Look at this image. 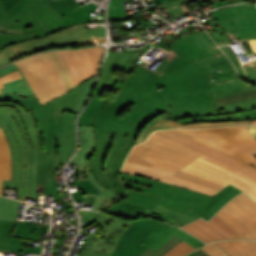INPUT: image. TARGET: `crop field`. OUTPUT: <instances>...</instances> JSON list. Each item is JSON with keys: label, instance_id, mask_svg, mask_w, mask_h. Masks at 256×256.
Masks as SVG:
<instances>
[{"label": "crop field", "instance_id": "crop-field-36", "mask_svg": "<svg viewBox=\"0 0 256 256\" xmlns=\"http://www.w3.org/2000/svg\"><path fill=\"white\" fill-rule=\"evenodd\" d=\"M123 0H111L109 4V20H125Z\"/></svg>", "mask_w": 256, "mask_h": 256}, {"label": "crop field", "instance_id": "crop-field-24", "mask_svg": "<svg viewBox=\"0 0 256 256\" xmlns=\"http://www.w3.org/2000/svg\"><path fill=\"white\" fill-rule=\"evenodd\" d=\"M242 191L236 189L235 187L228 185L225 189L220 191L215 195L198 213L205 220H209L213 214L231 198Z\"/></svg>", "mask_w": 256, "mask_h": 256}, {"label": "crop field", "instance_id": "crop-field-40", "mask_svg": "<svg viewBox=\"0 0 256 256\" xmlns=\"http://www.w3.org/2000/svg\"><path fill=\"white\" fill-rule=\"evenodd\" d=\"M211 25L214 27L216 31L209 32V35L216 42L218 46L222 44L231 43L226 33L224 32V30L221 28L220 24L217 21L211 22Z\"/></svg>", "mask_w": 256, "mask_h": 256}, {"label": "crop field", "instance_id": "crop-field-1", "mask_svg": "<svg viewBox=\"0 0 256 256\" xmlns=\"http://www.w3.org/2000/svg\"><path fill=\"white\" fill-rule=\"evenodd\" d=\"M171 46L173 54L148 71V63L139 59L150 48L147 43L126 83L113 77L108 89L117 91L114 100L99 98L104 88L97 87L79 125L137 139L142 128L163 112L172 121L215 116L213 98L256 89L238 77L223 53L198 61L221 52L205 31L183 36Z\"/></svg>", "mask_w": 256, "mask_h": 256}, {"label": "crop field", "instance_id": "crop-field-20", "mask_svg": "<svg viewBox=\"0 0 256 256\" xmlns=\"http://www.w3.org/2000/svg\"><path fill=\"white\" fill-rule=\"evenodd\" d=\"M121 172L131 173L150 179L160 180L162 182H166L183 188H189L212 196L218 193V191H215L213 189L205 188L195 183L170 176L171 174H173V172L145 167L128 162H125Z\"/></svg>", "mask_w": 256, "mask_h": 256}, {"label": "crop field", "instance_id": "crop-field-50", "mask_svg": "<svg viewBox=\"0 0 256 256\" xmlns=\"http://www.w3.org/2000/svg\"><path fill=\"white\" fill-rule=\"evenodd\" d=\"M16 70H17V68L13 64H11L5 68L0 69V76L8 74V73L16 71Z\"/></svg>", "mask_w": 256, "mask_h": 256}, {"label": "crop field", "instance_id": "crop-field-42", "mask_svg": "<svg viewBox=\"0 0 256 256\" xmlns=\"http://www.w3.org/2000/svg\"><path fill=\"white\" fill-rule=\"evenodd\" d=\"M239 8L246 15V17L251 21L254 28L256 29V5L255 4L240 5Z\"/></svg>", "mask_w": 256, "mask_h": 256}, {"label": "crop field", "instance_id": "crop-field-41", "mask_svg": "<svg viewBox=\"0 0 256 256\" xmlns=\"http://www.w3.org/2000/svg\"><path fill=\"white\" fill-rule=\"evenodd\" d=\"M193 247H191L186 242L182 241L178 246H176L174 249L166 253L164 256H185L186 254L194 251Z\"/></svg>", "mask_w": 256, "mask_h": 256}, {"label": "crop field", "instance_id": "crop-field-58", "mask_svg": "<svg viewBox=\"0 0 256 256\" xmlns=\"http://www.w3.org/2000/svg\"><path fill=\"white\" fill-rule=\"evenodd\" d=\"M195 254H193V253H191V254H189V255H187V256H194Z\"/></svg>", "mask_w": 256, "mask_h": 256}, {"label": "crop field", "instance_id": "crop-field-9", "mask_svg": "<svg viewBox=\"0 0 256 256\" xmlns=\"http://www.w3.org/2000/svg\"><path fill=\"white\" fill-rule=\"evenodd\" d=\"M105 34L106 30L103 27L86 30L84 24H80L40 39L9 45L2 51L10 56L12 60H15L45 48L101 43Z\"/></svg>", "mask_w": 256, "mask_h": 256}, {"label": "crop field", "instance_id": "crop-field-31", "mask_svg": "<svg viewBox=\"0 0 256 256\" xmlns=\"http://www.w3.org/2000/svg\"><path fill=\"white\" fill-rule=\"evenodd\" d=\"M166 121L167 120L164 118V114H161V115L155 117L151 122H149L143 128L141 134L139 135L138 139L136 140V143H140V142L145 141L147 139V137L153 131L162 130V129H171V127L164 124Z\"/></svg>", "mask_w": 256, "mask_h": 256}, {"label": "crop field", "instance_id": "crop-field-26", "mask_svg": "<svg viewBox=\"0 0 256 256\" xmlns=\"http://www.w3.org/2000/svg\"><path fill=\"white\" fill-rule=\"evenodd\" d=\"M256 119V110L245 111L241 113L219 116V117H194L187 118L183 120H177L175 122L182 125L197 123V122H229V121H242V120H255Z\"/></svg>", "mask_w": 256, "mask_h": 256}, {"label": "crop field", "instance_id": "crop-field-19", "mask_svg": "<svg viewBox=\"0 0 256 256\" xmlns=\"http://www.w3.org/2000/svg\"><path fill=\"white\" fill-rule=\"evenodd\" d=\"M229 38L242 39L256 37V31L238 6L212 12Z\"/></svg>", "mask_w": 256, "mask_h": 256}, {"label": "crop field", "instance_id": "crop-field-12", "mask_svg": "<svg viewBox=\"0 0 256 256\" xmlns=\"http://www.w3.org/2000/svg\"><path fill=\"white\" fill-rule=\"evenodd\" d=\"M182 170L224 186L230 183L256 200V183L253 180L202 154Z\"/></svg>", "mask_w": 256, "mask_h": 256}, {"label": "crop field", "instance_id": "crop-field-33", "mask_svg": "<svg viewBox=\"0 0 256 256\" xmlns=\"http://www.w3.org/2000/svg\"><path fill=\"white\" fill-rule=\"evenodd\" d=\"M18 202L0 196V219L15 220Z\"/></svg>", "mask_w": 256, "mask_h": 256}, {"label": "crop field", "instance_id": "crop-field-49", "mask_svg": "<svg viewBox=\"0 0 256 256\" xmlns=\"http://www.w3.org/2000/svg\"><path fill=\"white\" fill-rule=\"evenodd\" d=\"M18 1L19 0H2L5 14H7Z\"/></svg>", "mask_w": 256, "mask_h": 256}, {"label": "crop field", "instance_id": "crop-field-52", "mask_svg": "<svg viewBox=\"0 0 256 256\" xmlns=\"http://www.w3.org/2000/svg\"><path fill=\"white\" fill-rule=\"evenodd\" d=\"M117 201L114 200H110V199H105V201L103 202V204L100 206V208L98 209V211H101L103 209H105L107 206H109L112 203H115Z\"/></svg>", "mask_w": 256, "mask_h": 256}, {"label": "crop field", "instance_id": "crop-field-34", "mask_svg": "<svg viewBox=\"0 0 256 256\" xmlns=\"http://www.w3.org/2000/svg\"><path fill=\"white\" fill-rule=\"evenodd\" d=\"M172 176L179 177V178H182V179H185V180H189V181L195 182L197 184L203 185L205 187L216 189L218 191H220L221 189L224 188V186L218 185L216 183L207 181L205 179L199 178L197 176H194V175H191L189 173L182 172V171H179V172L173 174Z\"/></svg>", "mask_w": 256, "mask_h": 256}, {"label": "crop field", "instance_id": "crop-field-51", "mask_svg": "<svg viewBox=\"0 0 256 256\" xmlns=\"http://www.w3.org/2000/svg\"><path fill=\"white\" fill-rule=\"evenodd\" d=\"M12 61L8 56H6L2 51L0 52V66Z\"/></svg>", "mask_w": 256, "mask_h": 256}, {"label": "crop field", "instance_id": "crop-field-17", "mask_svg": "<svg viewBox=\"0 0 256 256\" xmlns=\"http://www.w3.org/2000/svg\"><path fill=\"white\" fill-rule=\"evenodd\" d=\"M79 137V151L70 161V163L78 164V171H85L88 180L91 181L90 183L99 189L100 195L86 194L87 196H96L92 210L97 211V209L102 204L105 198H110L117 201H119V199L113 198L114 190L104 189L91 175V162L87 160L91 157L95 149V137L93 128L79 126Z\"/></svg>", "mask_w": 256, "mask_h": 256}, {"label": "crop field", "instance_id": "crop-field-35", "mask_svg": "<svg viewBox=\"0 0 256 256\" xmlns=\"http://www.w3.org/2000/svg\"><path fill=\"white\" fill-rule=\"evenodd\" d=\"M72 183H75L79 189L78 191L72 193L75 201H84L85 193L99 194L97 188L92 186L89 181H79Z\"/></svg>", "mask_w": 256, "mask_h": 256}, {"label": "crop field", "instance_id": "crop-field-10", "mask_svg": "<svg viewBox=\"0 0 256 256\" xmlns=\"http://www.w3.org/2000/svg\"><path fill=\"white\" fill-rule=\"evenodd\" d=\"M181 131L256 166V157L251 153L256 150V139L246 126Z\"/></svg>", "mask_w": 256, "mask_h": 256}, {"label": "crop field", "instance_id": "crop-field-30", "mask_svg": "<svg viewBox=\"0 0 256 256\" xmlns=\"http://www.w3.org/2000/svg\"><path fill=\"white\" fill-rule=\"evenodd\" d=\"M47 55H48L50 61L55 66L56 70L59 69V71L62 75V79H63L66 91L74 88L71 78H70L69 71H68L65 63L63 62L60 54L58 53V51L48 52Z\"/></svg>", "mask_w": 256, "mask_h": 256}, {"label": "crop field", "instance_id": "crop-field-55", "mask_svg": "<svg viewBox=\"0 0 256 256\" xmlns=\"http://www.w3.org/2000/svg\"><path fill=\"white\" fill-rule=\"evenodd\" d=\"M5 16L2 2L0 1V20Z\"/></svg>", "mask_w": 256, "mask_h": 256}, {"label": "crop field", "instance_id": "crop-field-23", "mask_svg": "<svg viewBox=\"0 0 256 256\" xmlns=\"http://www.w3.org/2000/svg\"><path fill=\"white\" fill-rule=\"evenodd\" d=\"M15 221L0 220V252H16L18 256L26 247L23 246L25 240L9 237ZM6 242V244H5Z\"/></svg>", "mask_w": 256, "mask_h": 256}, {"label": "crop field", "instance_id": "crop-field-48", "mask_svg": "<svg viewBox=\"0 0 256 256\" xmlns=\"http://www.w3.org/2000/svg\"><path fill=\"white\" fill-rule=\"evenodd\" d=\"M156 4H165L167 2H171L172 0H154ZM180 4L190 3V2H204V1H219V0H178ZM251 1V0H248Z\"/></svg>", "mask_w": 256, "mask_h": 256}, {"label": "crop field", "instance_id": "crop-field-29", "mask_svg": "<svg viewBox=\"0 0 256 256\" xmlns=\"http://www.w3.org/2000/svg\"><path fill=\"white\" fill-rule=\"evenodd\" d=\"M22 74V72H21ZM23 76V74H22ZM6 88L0 89L3 94H12L18 95L22 97H28L33 95L34 93L30 89L27 81L25 80L24 76L22 79H17L11 82L4 84Z\"/></svg>", "mask_w": 256, "mask_h": 256}, {"label": "crop field", "instance_id": "crop-field-22", "mask_svg": "<svg viewBox=\"0 0 256 256\" xmlns=\"http://www.w3.org/2000/svg\"><path fill=\"white\" fill-rule=\"evenodd\" d=\"M137 56L135 53L110 52L97 86L106 88L115 70L128 74Z\"/></svg>", "mask_w": 256, "mask_h": 256}, {"label": "crop field", "instance_id": "crop-field-7", "mask_svg": "<svg viewBox=\"0 0 256 256\" xmlns=\"http://www.w3.org/2000/svg\"><path fill=\"white\" fill-rule=\"evenodd\" d=\"M130 225L131 227L123 234L111 256H137L147 246L156 251L174 234L183 238L196 248L205 245L174 226L152 219L131 222Z\"/></svg>", "mask_w": 256, "mask_h": 256}, {"label": "crop field", "instance_id": "crop-field-57", "mask_svg": "<svg viewBox=\"0 0 256 256\" xmlns=\"http://www.w3.org/2000/svg\"><path fill=\"white\" fill-rule=\"evenodd\" d=\"M251 123H252L253 125H256V120H255V121H251Z\"/></svg>", "mask_w": 256, "mask_h": 256}, {"label": "crop field", "instance_id": "crop-field-54", "mask_svg": "<svg viewBox=\"0 0 256 256\" xmlns=\"http://www.w3.org/2000/svg\"><path fill=\"white\" fill-rule=\"evenodd\" d=\"M195 254H197L198 256H209L208 254H206L204 251H202L201 249L193 252Z\"/></svg>", "mask_w": 256, "mask_h": 256}, {"label": "crop field", "instance_id": "crop-field-15", "mask_svg": "<svg viewBox=\"0 0 256 256\" xmlns=\"http://www.w3.org/2000/svg\"><path fill=\"white\" fill-rule=\"evenodd\" d=\"M244 194L236 196L217 214L234 226L246 239L256 240V202Z\"/></svg>", "mask_w": 256, "mask_h": 256}, {"label": "crop field", "instance_id": "crop-field-46", "mask_svg": "<svg viewBox=\"0 0 256 256\" xmlns=\"http://www.w3.org/2000/svg\"><path fill=\"white\" fill-rule=\"evenodd\" d=\"M247 69V76H248V81L252 83H256V64L255 63H250L245 65Z\"/></svg>", "mask_w": 256, "mask_h": 256}, {"label": "crop field", "instance_id": "crop-field-44", "mask_svg": "<svg viewBox=\"0 0 256 256\" xmlns=\"http://www.w3.org/2000/svg\"><path fill=\"white\" fill-rule=\"evenodd\" d=\"M201 249H203L205 252H207L210 256H229L220 247H218L214 243L206 245V246L202 247Z\"/></svg>", "mask_w": 256, "mask_h": 256}, {"label": "crop field", "instance_id": "crop-field-60", "mask_svg": "<svg viewBox=\"0 0 256 256\" xmlns=\"http://www.w3.org/2000/svg\"><path fill=\"white\" fill-rule=\"evenodd\" d=\"M68 184L70 185V182Z\"/></svg>", "mask_w": 256, "mask_h": 256}, {"label": "crop field", "instance_id": "crop-field-4", "mask_svg": "<svg viewBox=\"0 0 256 256\" xmlns=\"http://www.w3.org/2000/svg\"><path fill=\"white\" fill-rule=\"evenodd\" d=\"M129 197L104 210L130 220H137L146 207L154 209L157 203L184 211L193 217L212 198L189 189H183L166 183L121 173Z\"/></svg>", "mask_w": 256, "mask_h": 256}, {"label": "crop field", "instance_id": "crop-field-14", "mask_svg": "<svg viewBox=\"0 0 256 256\" xmlns=\"http://www.w3.org/2000/svg\"><path fill=\"white\" fill-rule=\"evenodd\" d=\"M154 134L171 139L177 143L183 144L188 148L199 151L243 174L250 177L256 182V167L252 164H247L246 162L213 147H210L194 137L182 133L178 130H168V131H157Z\"/></svg>", "mask_w": 256, "mask_h": 256}, {"label": "crop field", "instance_id": "crop-field-27", "mask_svg": "<svg viewBox=\"0 0 256 256\" xmlns=\"http://www.w3.org/2000/svg\"><path fill=\"white\" fill-rule=\"evenodd\" d=\"M41 224L34 223H25V222H16L12 237L24 238L33 241H37L42 231H48L50 225H46L45 229L40 228Z\"/></svg>", "mask_w": 256, "mask_h": 256}, {"label": "crop field", "instance_id": "crop-field-53", "mask_svg": "<svg viewBox=\"0 0 256 256\" xmlns=\"http://www.w3.org/2000/svg\"><path fill=\"white\" fill-rule=\"evenodd\" d=\"M67 2H68L72 11L75 10V9L80 8L79 4L75 0H67Z\"/></svg>", "mask_w": 256, "mask_h": 256}, {"label": "crop field", "instance_id": "crop-field-32", "mask_svg": "<svg viewBox=\"0 0 256 256\" xmlns=\"http://www.w3.org/2000/svg\"><path fill=\"white\" fill-rule=\"evenodd\" d=\"M0 102L17 103L21 105L26 110V112L41 106L37 98L35 97V95L28 98H22V97L12 96V95H0Z\"/></svg>", "mask_w": 256, "mask_h": 256}, {"label": "crop field", "instance_id": "crop-field-16", "mask_svg": "<svg viewBox=\"0 0 256 256\" xmlns=\"http://www.w3.org/2000/svg\"><path fill=\"white\" fill-rule=\"evenodd\" d=\"M70 70L74 86L97 74L104 48L92 47L81 50L59 51Z\"/></svg>", "mask_w": 256, "mask_h": 256}, {"label": "crop field", "instance_id": "crop-field-61", "mask_svg": "<svg viewBox=\"0 0 256 256\" xmlns=\"http://www.w3.org/2000/svg\"><path fill=\"white\" fill-rule=\"evenodd\" d=\"M196 256V255H195Z\"/></svg>", "mask_w": 256, "mask_h": 256}, {"label": "crop field", "instance_id": "crop-field-47", "mask_svg": "<svg viewBox=\"0 0 256 256\" xmlns=\"http://www.w3.org/2000/svg\"><path fill=\"white\" fill-rule=\"evenodd\" d=\"M17 78H22L21 75H20L19 70L16 71V72H13L11 74L0 77V88L4 87L3 84L5 82L11 81V80H14V79H17ZM0 94H1V92H0Z\"/></svg>", "mask_w": 256, "mask_h": 256}, {"label": "crop field", "instance_id": "crop-field-3", "mask_svg": "<svg viewBox=\"0 0 256 256\" xmlns=\"http://www.w3.org/2000/svg\"><path fill=\"white\" fill-rule=\"evenodd\" d=\"M0 126L9 143L12 161V180H16L18 196L37 200L35 165L38 151L44 152L41 134H37L32 111L13 103H0ZM33 206L39 207L38 202Z\"/></svg>", "mask_w": 256, "mask_h": 256}, {"label": "crop field", "instance_id": "crop-field-6", "mask_svg": "<svg viewBox=\"0 0 256 256\" xmlns=\"http://www.w3.org/2000/svg\"><path fill=\"white\" fill-rule=\"evenodd\" d=\"M95 136L96 149L89 159L91 172L104 188L115 189L114 197L124 199L126 191L118 172L135 139L100 131H95Z\"/></svg>", "mask_w": 256, "mask_h": 256}, {"label": "crop field", "instance_id": "crop-field-18", "mask_svg": "<svg viewBox=\"0 0 256 256\" xmlns=\"http://www.w3.org/2000/svg\"><path fill=\"white\" fill-rule=\"evenodd\" d=\"M182 229L207 243L222 239H244L242 234L217 214L208 223L198 219Z\"/></svg>", "mask_w": 256, "mask_h": 256}, {"label": "crop field", "instance_id": "crop-field-8", "mask_svg": "<svg viewBox=\"0 0 256 256\" xmlns=\"http://www.w3.org/2000/svg\"><path fill=\"white\" fill-rule=\"evenodd\" d=\"M199 155L183 145L152 134L147 141L134 146L127 161L176 172Z\"/></svg>", "mask_w": 256, "mask_h": 256}, {"label": "crop field", "instance_id": "crop-field-37", "mask_svg": "<svg viewBox=\"0 0 256 256\" xmlns=\"http://www.w3.org/2000/svg\"><path fill=\"white\" fill-rule=\"evenodd\" d=\"M35 38L37 37H35L34 35L24 36L17 34L0 33V51L9 44L27 41Z\"/></svg>", "mask_w": 256, "mask_h": 256}, {"label": "crop field", "instance_id": "crop-field-59", "mask_svg": "<svg viewBox=\"0 0 256 256\" xmlns=\"http://www.w3.org/2000/svg\"><path fill=\"white\" fill-rule=\"evenodd\" d=\"M253 154L256 156V151H255V152H253Z\"/></svg>", "mask_w": 256, "mask_h": 256}, {"label": "crop field", "instance_id": "crop-field-13", "mask_svg": "<svg viewBox=\"0 0 256 256\" xmlns=\"http://www.w3.org/2000/svg\"><path fill=\"white\" fill-rule=\"evenodd\" d=\"M78 214L83 215V217H80L83 223L82 228L96 222L102 227L100 231L97 232L96 238L92 244L95 246L94 249L109 250V252L113 253L122 234L130 227L129 221L112 215L82 210H79Z\"/></svg>", "mask_w": 256, "mask_h": 256}, {"label": "crop field", "instance_id": "crop-field-39", "mask_svg": "<svg viewBox=\"0 0 256 256\" xmlns=\"http://www.w3.org/2000/svg\"><path fill=\"white\" fill-rule=\"evenodd\" d=\"M166 124L174 127V128H197V127H214V126H231V125H246L251 124L248 121L243 122H229V123H197V124H190V125H179L177 123H174L170 120L166 122Z\"/></svg>", "mask_w": 256, "mask_h": 256}, {"label": "crop field", "instance_id": "crop-field-21", "mask_svg": "<svg viewBox=\"0 0 256 256\" xmlns=\"http://www.w3.org/2000/svg\"><path fill=\"white\" fill-rule=\"evenodd\" d=\"M216 116L256 109V90L214 99Z\"/></svg>", "mask_w": 256, "mask_h": 256}, {"label": "crop field", "instance_id": "crop-field-5", "mask_svg": "<svg viewBox=\"0 0 256 256\" xmlns=\"http://www.w3.org/2000/svg\"><path fill=\"white\" fill-rule=\"evenodd\" d=\"M91 3L73 12L66 0H20L0 21V32L34 34L38 38L79 23L90 22Z\"/></svg>", "mask_w": 256, "mask_h": 256}, {"label": "crop field", "instance_id": "crop-field-25", "mask_svg": "<svg viewBox=\"0 0 256 256\" xmlns=\"http://www.w3.org/2000/svg\"><path fill=\"white\" fill-rule=\"evenodd\" d=\"M217 245L226 250L231 256H256V241H218Z\"/></svg>", "mask_w": 256, "mask_h": 256}, {"label": "crop field", "instance_id": "crop-field-11", "mask_svg": "<svg viewBox=\"0 0 256 256\" xmlns=\"http://www.w3.org/2000/svg\"><path fill=\"white\" fill-rule=\"evenodd\" d=\"M15 64L23 72L41 105L66 93L59 71H55L45 53Z\"/></svg>", "mask_w": 256, "mask_h": 256}, {"label": "crop field", "instance_id": "crop-field-45", "mask_svg": "<svg viewBox=\"0 0 256 256\" xmlns=\"http://www.w3.org/2000/svg\"><path fill=\"white\" fill-rule=\"evenodd\" d=\"M93 246H85L83 255L80 256H110L108 251L93 250Z\"/></svg>", "mask_w": 256, "mask_h": 256}, {"label": "crop field", "instance_id": "crop-field-56", "mask_svg": "<svg viewBox=\"0 0 256 256\" xmlns=\"http://www.w3.org/2000/svg\"><path fill=\"white\" fill-rule=\"evenodd\" d=\"M251 133L253 134L254 137H256V127L248 126Z\"/></svg>", "mask_w": 256, "mask_h": 256}, {"label": "crop field", "instance_id": "crop-field-43", "mask_svg": "<svg viewBox=\"0 0 256 256\" xmlns=\"http://www.w3.org/2000/svg\"><path fill=\"white\" fill-rule=\"evenodd\" d=\"M221 49L226 53V55L229 57V59L233 62V64L236 66L240 76L242 78L246 77L244 74V71L239 63V61L237 60L236 56L234 55V53L231 51L230 48H228V46L225 47H221Z\"/></svg>", "mask_w": 256, "mask_h": 256}, {"label": "crop field", "instance_id": "crop-field-2", "mask_svg": "<svg viewBox=\"0 0 256 256\" xmlns=\"http://www.w3.org/2000/svg\"><path fill=\"white\" fill-rule=\"evenodd\" d=\"M94 77L33 110L45 146V153L39 152L37 158V191L52 195L54 202L69 197L67 193H57L53 168L59 169L76 146L75 117L89 95ZM62 203L64 208H72L70 201Z\"/></svg>", "mask_w": 256, "mask_h": 256}, {"label": "crop field", "instance_id": "crop-field-28", "mask_svg": "<svg viewBox=\"0 0 256 256\" xmlns=\"http://www.w3.org/2000/svg\"><path fill=\"white\" fill-rule=\"evenodd\" d=\"M1 180H11V162L7 140L0 127V195Z\"/></svg>", "mask_w": 256, "mask_h": 256}, {"label": "crop field", "instance_id": "crop-field-38", "mask_svg": "<svg viewBox=\"0 0 256 256\" xmlns=\"http://www.w3.org/2000/svg\"><path fill=\"white\" fill-rule=\"evenodd\" d=\"M182 240L183 239L174 235L165 245H163L156 252L147 247V249L140 256H162L163 254L171 250L173 247L178 245Z\"/></svg>", "mask_w": 256, "mask_h": 256}]
</instances>
